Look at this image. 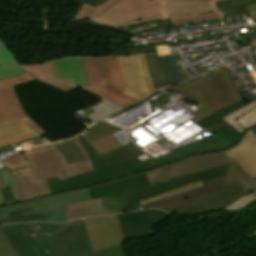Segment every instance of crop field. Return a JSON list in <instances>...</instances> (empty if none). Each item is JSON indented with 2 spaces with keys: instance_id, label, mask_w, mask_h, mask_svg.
Returning a JSON list of instances; mask_svg holds the SVG:
<instances>
[{
  "instance_id": "34",
  "label": "crop field",
  "mask_w": 256,
  "mask_h": 256,
  "mask_svg": "<svg viewBox=\"0 0 256 256\" xmlns=\"http://www.w3.org/2000/svg\"><path fill=\"white\" fill-rule=\"evenodd\" d=\"M144 56H145V61H146L150 81L152 84V88L155 89L157 87L163 86L160 75L154 63L152 54H144Z\"/></svg>"
},
{
  "instance_id": "18",
  "label": "crop field",
  "mask_w": 256,
  "mask_h": 256,
  "mask_svg": "<svg viewBox=\"0 0 256 256\" xmlns=\"http://www.w3.org/2000/svg\"><path fill=\"white\" fill-rule=\"evenodd\" d=\"M149 185V182L144 173L131 176L127 179L117 180L109 184L100 185L97 187L88 188L91 198H100L118 194H124L126 187L133 186L139 188Z\"/></svg>"
},
{
  "instance_id": "6",
  "label": "crop field",
  "mask_w": 256,
  "mask_h": 256,
  "mask_svg": "<svg viewBox=\"0 0 256 256\" xmlns=\"http://www.w3.org/2000/svg\"><path fill=\"white\" fill-rule=\"evenodd\" d=\"M84 71L89 83L86 87L97 95L124 107L136 102L122 95L123 78L115 57L84 58Z\"/></svg>"
},
{
  "instance_id": "17",
  "label": "crop field",
  "mask_w": 256,
  "mask_h": 256,
  "mask_svg": "<svg viewBox=\"0 0 256 256\" xmlns=\"http://www.w3.org/2000/svg\"><path fill=\"white\" fill-rule=\"evenodd\" d=\"M22 68H24L30 75H33V77H35L36 79H39L44 84L62 89L64 91H70L75 88V84L73 80H58L52 62L39 65V66L22 67ZM80 88L86 93L98 97L94 93L90 92L85 86H81Z\"/></svg>"
},
{
  "instance_id": "10",
  "label": "crop field",
  "mask_w": 256,
  "mask_h": 256,
  "mask_svg": "<svg viewBox=\"0 0 256 256\" xmlns=\"http://www.w3.org/2000/svg\"><path fill=\"white\" fill-rule=\"evenodd\" d=\"M33 80L27 72L0 79V127L25 121L37 136L46 134L26 114L14 90V86Z\"/></svg>"
},
{
  "instance_id": "31",
  "label": "crop field",
  "mask_w": 256,
  "mask_h": 256,
  "mask_svg": "<svg viewBox=\"0 0 256 256\" xmlns=\"http://www.w3.org/2000/svg\"><path fill=\"white\" fill-rule=\"evenodd\" d=\"M116 142L117 140L114 138L113 134H111L92 142V145L95 147L100 156H102L119 148L120 146Z\"/></svg>"
},
{
  "instance_id": "11",
  "label": "crop field",
  "mask_w": 256,
  "mask_h": 256,
  "mask_svg": "<svg viewBox=\"0 0 256 256\" xmlns=\"http://www.w3.org/2000/svg\"><path fill=\"white\" fill-rule=\"evenodd\" d=\"M228 161L229 157L223 152L196 155L145 173L153 186L157 182H170L174 177L218 167L227 164Z\"/></svg>"
},
{
  "instance_id": "29",
  "label": "crop field",
  "mask_w": 256,
  "mask_h": 256,
  "mask_svg": "<svg viewBox=\"0 0 256 256\" xmlns=\"http://www.w3.org/2000/svg\"><path fill=\"white\" fill-rule=\"evenodd\" d=\"M28 133L32 131L25 122L0 128V141Z\"/></svg>"
},
{
  "instance_id": "21",
  "label": "crop field",
  "mask_w": 256,
  "mask_h": 256,
  "mask_svg": "<svg viewBox=\"0 0 256 256\" xmlns=\"http://www.w3.org/2000/svg\"><path fill=\"white\" fill-rule=\"evenodd\" d=\"M102 201L103 198L69 204L66 212L68 221L83 216L102 215Z\"/></svg>"
},
{
  "instance_id": "28",
  "label": "crop field",
  "mask_w": 256,
  "mask_h": 256,
  "mask_svg": "<svg viewBox=\"0 0 256 256\" xmlns=\"http://www.w3.org/2000/svg\"><path fill=\"white\" fill-rule=\"evenodd\" d=\"M95 112L88 114V116L95 122L98 119L109 115L117 110H120L124 107H121L115 103H112L110 101H107L105 99L91 105Z\"/></svg>"
},
{
  "instance_id": "39",
  "label": "crop field",
  "mask_w": 256,
  "mask_h": 256,
  "mask_svg": "<svg viewBox=\"0 0 256 256\" xmlns=\"http://www.w3.org/2000/svg\"><path fill=\"white\" fill-rule=\"evenodd\" d=\"M201 182H197V183H194V184H191L187 187H184V188H180L178 190H175V191H172L170 193H167V194H164L162 196H159V197H156V198H152V199H149V200H145V201H141L140 203L143 204V203H146V202H150V201H153V200H156V199H160V198H163V197H166V196H169V195H173V194H176V193H179V192H183V191H187V190H190V189H194V188H197L199 186H201Z\"/></svg>"
},
{
  "instance_id": "48",
  "label": "crop field",
  "mask_w": 256,
  "mask_h": 256,
  "mask_svg": "<svg viewBox=\"0 0 256 256\" xmlns=\"http://www.w3.org/2000/svg\"><path fill=\"white\" fill-rule=\"evenodd\" d=\"M3 182L1 181V179H0V184H2Z\"/></svg>"
},
{
  "instance_id": "33",
  "label": "crop field",
  "mask_w": 256,
  "mask_h": 256,
  "mask_svg": "<svg viewBox=\"0 0 256 256\" xmlns=\"http://www.w3.org/2000/svg\"><path fill=\"white\" fill-rule=\"evenodd\" d=\"M120 130L117 127L110 126L104 122H100L97 124L94 128H92L88 133H86V137L89 139V141H93L97 138L103 137L105 135L114 133L116 131Z\"/></svg>"
},
{
  "instance_id": "42",
  "label": "crop field",
  "mask_w": 256,
  "mask_h": 256,
  "mask_svg": "<svg viewBox=\"0 0 256 256\" xmlns=\"http://www.w3.org/2000/svg\"><path fill=\"white\" fill-rule=\"evenodd\" d=\"M80 6H82L84 3L96 8L102 3H104L106 0H70Z\"/></svg>"
},
{
  "instance_id": "3",
  "label": "crop field",
  "mask_w": 256,
  "mask_h": 256,
  "mask_svg": "<svg viewBox=\"0 0 256 256\" xmlns=\"http://www.w3.org/2000/svg\"><path fill=\"white\" fill-rule=\"evenodd\" d=\"M90 18L98 25L120 28L152 20L168 19L167 0H108L94 9L82 6L72 24Z\"/></svg>"
},
{
  "instance_id": "43",
  "label": "crop field",
  "mask_w": 256,
  "mask_h": 256,
  "mask_svg": "<svg viewBox=\"0 0 256 256\" xmlns=\"http://www.w3.org/2000/svg\"><path fill=\"white\" fill-rule=\"evenodd\" d=\"M51 149H55V148L53 146H49V147H44V148L27 151V152H24V154L27 155V154H32V153H38V152H43V151H47V150H51Z\"/></svg>"
},
{
  "instance_id": "37",
  "label": "crop field",
  "mask_w": 256,
  "mask_h": 256,
  "mask_svg": "<svg viewBox=\"0 0 256 256\" xmlns=\"http://www.w3.org/2000/svg\"><path fill=\"white\" fill-rule=\"evenodd\" d=\"M256 198L253 193H250L246 197L242 198L241 200L237 201L233 205L229 206L228 208L224 209L226 211H237L243 207L250 205L251 203L255 202Z\"/></svg>"
},
{
  "instance_id": "23",
  "label": "crop field",
  "mask_w": 256,
  "mask_h": 256,
  "mask_svg": "<svg viewBox=\"0 0 256 256\" xmlns=\"http://www.w3.org/2000/svg\"><path fill=\"white\" fill-rule=\"evenodd\" d=\"M235 181L239 182L246 194H249L253 191L256 196V177L250 179L248 175L244 172V170L232 159L229 162L224 184Z\"/></svg>"
},
{
  "instance_id": "16",
  "label": "crop field",
  "mask_w": 256,
  "mask_h": 256,
  "mask_svg": "<svg viewBox=\"0 0 256 256\" xmlns=\"http://www.w3.org/2000/svg\"><path fill=\"white\" fill-rule=\"evenodd\" d=\"M232 145L233 144L214 135L206 139L197 141L195 143L189 144L178 150H175L165 157H162V158L158 157L159 159L152 160V163L154 167H157L162 164L183 158L187 155H191L195 153H204V152H216V151L224 150Z\"/></svg>"
},
{
  "instance_id": "2",
  "label": "crop field",
  "mask_w": 256,
  "mask_h": 256,
  "mask_svg": "<svg viewBox=\"0 0 256 256\" xmlns=\"http://www.w3.org/2000/svg\"><path fill=\"white\" fill-rule=\"evenodd\" d=\"M224 179L204 182L203 186L143 204L142 208H158L180 215L223 210L246 196L238 182L223 185Z\"/></svg>"
},
{
  "instance_id": "12",
  "label": "crop field",
  "mask_w": 256,
  "mask_h": 256,
  "mask_svg": "<svg viewBox=\"0 0 256 256\" xmlns=\"http://www.w3.org/2000/svg\"><path fill=\"white\" fill-rule=\"evenodd\" d=\"M117 59L124 78V95L139 100L152 91L143 54Z\"/></svg>"
},
{
  "instance_id": "41",
  "label": "crop field",
  "mask_w": 256,
  "mask_h": 256,
  "mask_svg": "<svg viewBox=\"0 0 256 256\" xmlns=\"http://www.w3.org/2000/svg\"><path fill=\"white\" fill-rule=\"evenodd\" d=\"M33 137H36V135L34 133L24 135V136H20V137H16V138L9 139V140H5V141H1L0 142V147L5 146L7 144H11V143L20 142V141H23V140H26V139H30V138H33Z\"/></svg>"
},
{
  "instance_id": "24",
  "label": "crop field",
  "mask_w": 256,
  "mask_h": 256,
  "mask_svg": "<svg viewBox=\"0 0 256 256\" xmlns=\"http://www.w3.org/2000/svg\"><path fill=\"white\" fill-rule=\"evenodd\" d=\"M116 159L120 163L121 167L125 171L126 175L132 174L137 171L146 170L152 168L151 161L142 164L135 156H133L126 147H121L113 151Z\"/></svg>"
},
{
  "instance_id": "47",
  "label": "crop field",
  "mask_w": 256,
  "mask_h": 256,
  "mask_svg": "<svg viewBox=\"0 0 256 256\" xmlns=\"http://www.w3.org/2000/svg\"><path fill=\"white\" fill-rule=\"evenodd\" d=\"M252 131H254V132H256V128H254V129H251Z\"/></svg>"
},
{
  "instance_id": "32",
  "label": "crop field",
  "mask_w": 256,
  "mask_h": 256,
  "mask_svg": "<svg viewBox=\"0 0 256 256\" xmlns=\"http://www.w3.org/2000/svg\"><path fill=\"white\" fill-rule=\"evenodd\" d=\"M31 210L32 209L10 213L9 214L10 218L1 220L0 224L1 223H11V222L47 221L45 213L35 214V215H27V216L21 217L20 213L31 211Z\"/></svg>"
},
{
  "instance_id": "44",
  "label": "crop field",
  "mask_w": 256,
  "mask_h": 256,
  "mask_svg": "<svg viewBox=\"0 0 256 256\" xmlns=\"http://www.w3.org/2000/svg\"><path fill=\"white\" fill-rule=\"evenodd\" d=\"M26 141L37 143L38 145H41L40 138H38V137L30 139V140H26Z\"/></svg>"
},
{
  "instance_id": "1",
  "label": "crop field",
  "mask_w": 256,
  "mask_h": 256,
  "mask_svg": "<svg viewBox=\"0 0 256 256\" xmlns=\"http://www.w3.org/2000/svg\"><path fill=\"white\" fill-rule=\"evenodd\" d=\"M169 215L141 210L68 224H5L0 232L17 256H126L124 239L154 234L152 227Z\"/></svg>"
},
{
  "instance_id": "15",
  "label": "crop field",
  "mask_w": 256,
  "mask_h": 256,
  "mask_svg": "<svg viewBox=\"0 0 256 256\" xmlns=\"http://www.w3.org/2000/svg\"><path fill=\"white\" fill-rule=\"evenodd\" d=\"M244 105L245 104L243 100H241L237 103H234L216 111L215 113L211 114L210 116L204 118L197 123L203 128L211 130L214 132V134L235 144L236 142H238L241 133L230 124H228L226 121H224L222 117L243 107Z\"/></svg>"
},
{
  "instance_id": "36",
  "label": "crop field",
  "mask_w": 256,
  "mask_h": 256,
  "mask_svg": "<svg viewBox=\"0 0 256 256\" xmlns=\"http://www.w3.org/2000/svg\"><path fill=\"white\" fill-rule=\"evenodd\" d=\"M253 2H256V0H237V1L222 0V1L216 2V4H217L218 11H225V10L234 9L239 6H242L248 3H253Z\"/></svg>"
},
{
  "instance_id": "45",
  "label": "crop field",
  "mask_w": 256,
  "mask_h": 256,
  "mask_svg": "<svg viewBox=\"0 0 256 256\" xmlns=\"http://www.w3.org/2000/svg\"><path fill=\"white\" fill-rule=\"evenodd\" d=\"M246 6H247V8H248L249 11L256 10V3H254V4H249V5H246Z\"/></svg>"
},
{
  "instance_id": "46",
  "label": "crop field",
  "mask_w": 256,
  "mask_h": 256,
  "mask_svg": "<svg viewBox=\"0 0 256 256\" xmlns=\"http://www.w3.org/2000/svg\"><path fill=\"white\" fill-rule=\"evenodd\" d=\"M252 18H256V11L249 12Z\"/></svg>"
},
{
  "instance_id": "9",
  "label": "crop field",
  "mask_w": 256,
  "mask_h": 256,
  "mask_svg": "<svg viewBox=\"0 0 256 256\" xmlns=\"http://www.w3.org/2000/svg\"><path fill=\"white\" fill-rule=\"evenodd\" d=\"M227 166L228 164L218 168L177 177L173 179L170 183H158L155 184L153 187L149 185L139 189H135L133 187L127 188L125 193L126 198L123 212L138 210V206H140L139 201L159 196L177 188L187 186L196 181L201 180L202 182H204L213 179L223 178L226 175Z\"/></svg>"
},
{
  "instance_id": "4",
  "label": "crop field",
  "mask_w": 256,
  "mask_h": 256,
  "mask_svg": "<svg viewBox=\"0 0 256 256\" xmlns=\"http://www.w3.org/2000/svg\"><path fill=\"white\" fill-rule=\"evenodd\" d=\"M169 88L182 92L183 98L194 97L199 105L197 121L242 99L227 68Z\"/></svg>"
},
{
  "instance_id": "8",
  "label": "crop field",
  "mask_w": 256,
  "mask_h": 256,
  "mask_svg": "<svg viewBox=\"0 0 256 256\" xmlns=\"http://www.w3.org/2000/svg\"><path fill=\"white\" fill-rule=\"evenodd\" d=\"M88 189H81L73 192L60 193L49 197H42L26 201L20 204L0 208V220L8 218L7 213L17 210L33 208L34 211L21 215L46 212L50 222H67L65 218L66 205L72 202L89 200Z\"/></svg>"
},
{
  "instance_id": "40",
  "label": "crop field",
  "mask_w": 256,
  "mask_h": 256,
  "mask_svg": "<svg viewBox=\"0 0 256 256\" xmlns=\"http://www.w3.org/2000/svg\"><path fill=\"white\" fill-rule=\"evenodd\" d=\"M0 256H15L0 234Z\"/></svg>"
},
{
  "instance_id": "7",
  "label": "crop field",
  "mask_w": 256,
  "mask_h": 256,
  "mask_svg": "<svg viewBox=\"0 0 256 256\" xmlns=\"http://www.w3.org/2000/svg\"><path fill=\"white\" fill-rule=\"evenodd\" d=\"M77 140L88 154L95 171L61 181L57 177L46 179L52 194L126 176L112 152L99 157L84 136Z\"/></svg>"
},
{
  "instance_id": "20",
  "label": "crop field",
  "mask_w": 256,
  "mask_h": 256,
  "mask_svg": "<svg viewBox=\"0 0 256 256\" xmlns=\"http://www.w3.org/2000/svg\"><path fill=\"white\" fill-rule=\"evenodd\" d=\"M241 133L256 124V100L223 117Z\"/></svg>"
},
{
  "instance_id": "27",
  "label": "crop field",
  "mask_w": 256,
  "mask_h": 256,
  "mask_svg": "<svg viewBox=\"0 0 256 256\" xmlns=\"http://www.w3.org/2000/svg\"><path fill=\"white\" fill-rule=\"evenodd\" d=\"M55 147L64 155L68 164L85 160L75 140L55 145Z\"/></svg>"
},
{
  "instance_id": "5",
  "label": "crop field",
  "mask_w": 256,
  "mask_h": 256,
  "mask_svg": "<svg viewBox=\"0 0 256 256\" xmlns=\"http://www.w3.org/2000/svg\"><path fill=\"white\" fill-rule=\"evenodd\" d=\"M78 142L77 144L87 161L67 165L65 159L61 156L35 163H29L30 167L11 172L16 180L23 201L51 194L45 178L58 176L61 180L73 175L94 170L87 154Z\"/></svg>"
},
{
  "instance_id": "30",
  "label": "crop field",
  "mask_w": 256,
  "mask_h": 256,
  "mask_svg": "<svg viewBox=\"0 0 256 256\" xmlns=\"http://www.w3.org/2000/svg\"><path fill=\"white\" fill-rule=\"evenodd\" d=\"M125 195L104 198L103 215L122 213Z\"/></svg>"
},
{
  "instance_id": "19",
  "label": "crop field",
  "mask_w": 256,
  "mask_h": 256,
  "mask_svg": "<svg viewBox=\"0 0 256 256\" xmlns=\"http://www.w3.org/2000/svg\"><path fill=\"white\" fill-rule=\"evenodd\" d=\"M53 63L59 79H74L76 86L88 85L83 71V58H66Z\"/></svg>"
},
{
  "instance_id": "25",
  "label": "crop field",
  "mask_w": 256,
  "mask_h": 256,
  "mask_svg": "<svg viewBox=\"0 0 256 256\" xmlns=\"http://www.w3.org/2000/svg\"><path fill=\"white\" fill-rule=\"evenodd\" d=\"M61 155L62 154L57 149L43 152V153H38V154L27 155V156H24V154L21 153L14 157H11L9 159L2 161V163L6 166L7 169L12 171L15 169L29 166L28 162H35V161L44 160V159L57 157Z\"/></svg>"
},
{
  "instance_id": "26",
  "label": "crop field",
  "mask_w": 256,
  "mask_h": 256,
  "mask_svg": "<svg viewBox=\"0 0 256 256\" xmlns=\"http://www.w3.org/2000/svg\"><path fill=\"white\" fill-rule=\"evenodd\" d=\"M153 57L164 85L180 80L172 56L158 57L157 53H153Z\"/></svg>"
},
{
  "instance_id": "13",
  "label": "crop field",
  "mask_w": 256,
  "mask_h": 256,
  "mask_svg": "<svg viewBox=\"0 0 256 256\" xmlns=\"http://www.w3.org/2000/svg\"><path fill=\"white\" fill-rule=\"evenodd\" d=\"M215 1L218 0H168L169 19L172 22L213 16L226 19L223 12H217Z\"/></svg>"
},
{
  "instance_id": "35",
  "label": "crop field",
  "mask_w": 256,
  "mask_h": 256,
  "mask_svg": "<svg viewBox=\"0 0 256 256\" xmlns=\"http://www.w3.org/2000/svg\"><path fill=\"white\" fill-rule=\"evenodd\" d=\"M19 65L12 52L0 40V66Z\"/></svg>"
},
{
  "instance_id": "22",
  "label": "crop field",
  "mask_w": 256,
  "mask_h": 256,
  "mask_svg": "<svg viewBox=\"0 0 256 256\" xmlns=\"http://www.w3.org/2000/svg\"><path fill=\"white\" fill-rule=\"evenodd\" d=\"M0 177L4 182L0 185V205L22 201L15 180L9 170H0Z\"/></svg>"
},
{
  "instance_id": "38",
  "label": "crop field",
  "mask_w": 256,
  "mask_h": 256,
  "mask_svg": "<svg viewBox=\"0 0 256 256\" xmlns=\"http://www.w3.org/2000/svg\"><path fill=\"white\" fill-rule=\"evenodd\" d=\"M22 72H25L24 69H22L20 66L15 67H0V78L20 74Z\"/></svg>"
},
{
  "instance_id": "14",
  "label": "crop field",
  "mask_w": 256,
  "mask_h": 256,
  "mask_svg": "<svg viewBox=\"0 0 256 256\" xmlns=\"http://www.w3.org/2000/svg\"><path fill=\"white\" fill-rule=\"evenodd\" d=\"M223 152L233 158L250 178L256 176V134L254 132L248 130L236 146Z\"/></svg>"
}]
</instances>
